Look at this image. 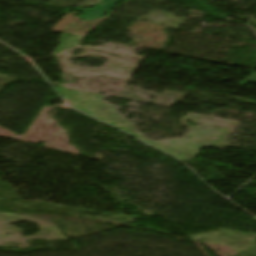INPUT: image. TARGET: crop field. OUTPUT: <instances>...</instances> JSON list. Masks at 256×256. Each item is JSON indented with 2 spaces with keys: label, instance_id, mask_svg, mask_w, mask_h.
I'll list each match as a JSON object with an SVG mask.
<instances>
[{
  "label": "crop field",
  "instance_id": "obj_1",
  "mask_svg": "<svg viewBox=\"0 0 256 256\" xmlns=\"http://www.w3.org/2000/svg\"><path fill=\"white\" fill-rule=\"evenodd\" d=\"M118 1L120 0H103L99 5L95 6L91 10L78 8L76 11L85 13L80 19L84 21L93 20L103 17L107 11L116 5Z\"/></svg>",
  "mask_w": 256,
  "mask_h": 256
},
{
  "label": "crop field",
  "instance_id": "obj_2",
  "mask_svg": "<svg viewBox=\"0 0 256 256\" xmlns=\"http://www.w3.org/2000/svg\"><path fill=\"white\" fill-rule=\"evenodd\" d=\"M247 81L256 82V73L253 74V75H251V76L249 77V79H247Z\"/></svg>",
  "mask_w": 256,
  "mask_h": 256
}]
</instances>
